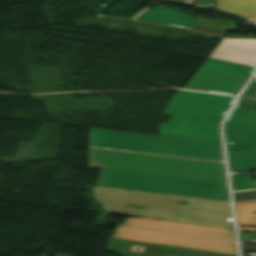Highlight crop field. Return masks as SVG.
<instances>
[{"instance_id":"crop-field-12","label":"crop field","mask_w":256,"mask_h":256,"mask_svg":"<svg viewBox=\"0 0 256 256\" xmlns=\"http://www.w3.org/2000/svg\"><path fill=\"white\" fill-rule=\"evenodd\" d=\"M191 29L199 30L202 32L210 33V34L221 36V37H223L224 35H226L228 33L225 31L210 30V29H203V28H196V27H192Z\"/></svg>"},{"instance_id":"crop-field-11","label":"crop field","mask_w":256,"mask_h":256,"mask_svg":"<svg viewBox=\"0 0 256 256\" xmlns=\"http://www.w3.org/2000/svg\"><path fill=\"white\" fill-rule=\"evenodd\" d=\"M234 198H235V201L255 199L256 198V191L234 193Z\"/></svg>"},{"instance_id":"crop-field-5","label":"crop field","mask_w":256,"mask_h":256,"mask_svg":"<svg viewBox=\"0 0 256 256\" xmlns=\"http://www.w3.org/2000/svg\"><path fill=\"white\" fill-rule=\"evenodd\" d=\"M246 77L199 68L185 88L235 95Z\"/></svg>"},{"instance_id":"crop-field-8","label":"crop field","mask_w":256,"mask_h":256,"mask_svg":"<svg viewBox=\"0 0 256 256\" xmlns=\"http://www.w3.org/2000/svg\"><path fill=\"white\" fill-rule=\"evenodd\" d=\"M201 67L213 69V70L224 71V72L242 75V76H246V77H249L250 74L255 69L254 67L214 60V59H210V58H208Z\"/></svg>"},{"instance_id":"crop-field-3","label":"crop field","mask_w":256,"mask_h":256,"mask_svg":"<svg viewBox=\"0 0 256 256\" xmlns=\"http://www.w3.org/2000/svg\"><path fill=\"white\" fill-rule=\"evenodd\" d=\"M112 237L236 255L235 243L117 226Z\"/></svg>"},{"instance_id":"crop-field-14","label":"crop field","mask_w":256,"mask_h":256,"mask_svg":"<svg viewBox=\"0 0 256 256\" xmlns=\"http://www.w3.org/2000/svg\"><path fill=\"white\" fill-rule=\"evenodd\" d=\"M240 231H256V228H240Z\"/></svg>"},{"instance_id":"crop-field-2","label":"crop field","mask_w":256,"mask_h":256,"mask_svg":"<svg viewBox=\"0 0 256 256\" xmlns=\"http://www.w3.org/2000/svg\"><path fill=\"white\" fill-rule=\"evenodd\" d=\"M235 97L178 90L163 113L160 136L220 143L218 126Z\"/></svg>"},{"instance_id":"crop-field-10","label":"crop field","mask_w":256,"mask_h":256,"mask_svg":"<svg viewBox=\"0 0 256 256\" xmlns=\"http://www.w3.org/2000/svg\"><path fill=\"white\" fill-rule=\"evenodd\" d=\"M193 26L211 28L225 31H236L237 26L233 21H224L218 19H205L203 17H197Z\"/></svg>"},{"instance_id":"crop-field-15","label":"crop field","mask_w":256,"mask_h":256,"mask_svg":"<svg viewBox=\"0 0 256 256\" xmlns=\"http://www.w3.org/2000/svg\"><path fill=\"white\" fill-rule=\"evenodd\" d=\"M55 256H67V255L56 254Z\"/></svg>"},{"instance_id":"crop-field-1","label":"crop field","mask_w":256,"mask_h":256,"mask_svg":"<svg viewBox=\"0 0 256 256\" xmlns=\"http://www.w3.org/2000/svg\"><path fill=\"white\" fill-rule=\"evenodd\" d=\"M93 190L95 200L102 203L108 212L233 229L230 209L225 202L101 187H93ZM180 201L188 203L176 204ZM125 205L148 208H130Z\"/></svg>"},{"instance_id":"crop-field-6","label":"crop field","mask_w":256,"mask_h":256,"mask_svg":"<svg viewBox=\"0 0 256 256\" xmlns=\"http://www.w3.org/2000/svg\"><path fill=\"white\" fill-rule=\"evenodd\" d=\"M210 58L256 67V40L223 39Z\"/></svg>"},{"instance_id":"crop-field-4","label":"crop field","mask_w":256,"mask_h":256,"mask_svg":"<svg viewBox=\"0 0 256 256\" xmlns=\"http://www.w3.org/2000/svg\"><path fill=\"white\" fill-rule=\"evenodd\" d=\"M122 225L235 241L233 230L167 221L128 218Z\"/></svg>"},{"instance_id":"crop-field-7","label":"crop field","mask_w":256,"mask_h":256,"mask_svg":"<svg viewBox=\"0 0 256 256\" xmlns=\"http://www.w3.org/2000/svg\"><path fill=\"white\" fill-rule=\"evenodd\" d=\"M214 10L245 19H256V0H216Z\"/></svg>"},{"instance_id":"crop-field-9","label":"crop field","mask_w":256,"mask_h":256,"mask_svg":"<svg viewBox=\"0 0 256 256\" xmlns=\"http://www.w3.org/2000/svg\"><path fill=\"white\" fill-rule=\"evenodd\" d=\"M239 225H256V199L235 202Z\"/></svg>"},{"instance_id":"crop-field-13","label":"crop field","mask_w":256,"mask_h":256,"mask_svg":"<svg viewBox=\"0 0 256 256\" xmlns=\"http://www.w3.org/2000/svg\"><path fill=\"white\" fill-rule=\"evenodd\" d=\"M226 37H241V38H256L255 35H248V36H243V35H228Z\"/></svg>"}]
</instances>
